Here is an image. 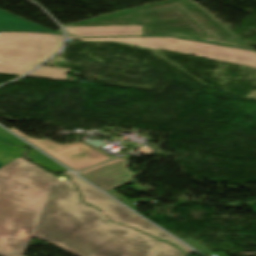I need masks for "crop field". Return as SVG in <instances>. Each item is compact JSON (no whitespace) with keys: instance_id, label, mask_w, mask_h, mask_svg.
<instances>
[{"instance_id":"2","label":"crop field","mask_w":256,"mask_h":256,"mask_svg":"<svg viewBox=\"0 0 256 256\" xmlns=\"http://www.w3.org/2000/svg\"><path fill=\"white\" fill-rule=\"evenodd\" d=\"M73 25H137L143 27L142 35L174 34L248 48L187 0H170Z\"/></svg>"},{"instance_id":"12","label":"crop field","mask_w":256,"mask_h":256,"mask_svg":"<svg viewBox=\"0 0 256 256\" xmlns=\"http://www.w3.org/2000/svg\"><path fill=\"white\" fill-rule=\"evenodd\" d=\"M28 159L32 160L33 162L39 164L40 166L50 170V171H65L62 166H60L58 163L53 161L52 159L48 158L44 154L40 153L37 150H32L30 153L25 156Z\"/></svg>"},{"instance_id":"4","label":"crop field","mask_w":256,"mask_h":256,"mask_svg":"<svg viewBox=\"0 0 256 256\" xmlns=\"http://www.w3.org/2000/svg\"><path fill=\"white\" fill-rule=\"evenodd\" d=\"M68 38L79 39L68 36ZM84 41H117L134 44L150 49H167L175 52L207 57L231 63L256 67V52L211 45L191 40L172 37L156 38H112V39H79Z\"/></svg>"},{"instance_id":"13","label":"crop field","mask_w":256,"mask_h":256,"mask_svg":"<svg viewBox=\"0 0 256 256\" xmlns=\"http://www.w3.org/2000/svg\"><path fill=\"white\" fill-rule=\"evenodd\" d=\"M0 140L6 142L8 144H11V145H18V146H22V147L27 145L25 142L19 140L18 138H16L12 134L8 133L1 127H0Z\"/></svg>"},{"instance_id":"9","label":"crop field","mask_w":256,"mask_h":256,"mask_svg":"<svg viewBox=\"0 0 256 256\" xmlns=\"http://www.w3.org/2000/svg\"><path fill=\"white\" fill-rule=\"evenodd\" d=\"M0 31H34L57 33L2 10H0Z\"/></svg>"},{"instance_id":"1","label":"crop field","mask_w":256,"mask_h":256,"mask_svg":"<svg viewBox=\"0 0 256 256\" xmlns=\"http://www.w3.org/2000/svg\"><path fill=\"white\" fill-rule=\"evenodd\" d=\"M32 236L77 256H185L173 246L106 220L61 182L18 158L0 169V256H23Z\"/></svg>"},{"instance_id":"6","label":"crop field","mask_w":256,"mask_h":256,"mask_svg":"<svg viewBox=\"0 0 256 256\" xmlns=\"http://www.w3.org/2000/svg\"><path fill=\"white\" fill-rule=\"evenodd\" d=\"M10 130L23 137L36 147L50 154L74 171L110 159L109 157L81 142L71 144H56L49 140H36L28 138L13 128Z\"/></svg>"},{"instance_id":"14","label":"crop field","mask_w":256,"mask_h":256,"mask_svg":"<svg viewBox=\"0 0 256 256\" xmlns=\"http://www.w3.org/2000/svg\"><path fill=\"white\" fill-rule=\"evenodd\" d=\"M185 243L189 244L190 246H192L193 248L197 249L200 252H210L209 249H207L206 247H204L203 245H201L199 242H197L195 239L191 238V239H187V240H183Z\"/></svg>"},{"instance_id":"11","label":"crop field","mask_w":256,"mask_h":256,"mask_svg":"<svg viewBox=\"0 0 256 256\" xmlns=\"http://www.w3.org/2000/svg\"><path fill=\"white\" fill-rule=\"evenodd\" d=\"M26 149L21 147H11L0 142V168L10 163L12 160L24 156Z\"/></svg>"},{"instance_id":"15","label":"crop field","mask_w":256,"mask_h":256,"mask_svg":"<svg viewBox=\"0 0 256 256\" xmlns=\"http://www.w3.org/2000/svg\"><path fill=\"white\" fill-rule=\"evenodd\" d=\"M120 160H122V159H121V158H118V159H116V160H113V161H111V162L105 163V164L100 165V166H97V167H95V168L86 170V171L81 172V173H79V174L83 175V174H85V173L91 172V171H93V170L99 169V168H101V167H104V166H106V165L112 164V163L117 162V161H120Z\"/></svg>"},{"instance_id":"10","label":"crop field","mask_w":256,"mask_h":256,"mask_svg":"<svg viewBox=\"0 0 256 256\" xmlns=\"http://www.w3.org/2000/svg\"><path fill=\"white\" fill-rule=\"evenodd\" d=\"M69 72V69L65 68H56V67H46L41 66L28 76L31 77H41V78H51V79H59L66 80V74Z\"/></svg>"},{"instance_id":"7","label":"crop field","mask_w":256,"mask_h":256,"mask_svg":"<svg viewBox=\"0 0 256 256\" xmlns=\"http://www.w3.org/2000/svg\"><path fill=\"white\" fill-rule=\"evenodd\" d=\"M127 168L128 161L126 159L85 174L83 177L107 191L133 180L135 173L128 171Z\"/></svg>"},{"instance_id":"5","label":"crop field","mask_w":256,"mask_h":256,"mask_svg":"<svg viewBox=\"0 0 256 256\" xmlns=\"http://www.w3.org/2000/svg\"><path fill=\"white\" fill-rule=\"evenodd\" d=\"M67 175L71 177L77 188L81 191L85 201L104 211L108 215L109 219H111L112 221L131 226L133 228L146 232L156 238L167 240L171 243L176 244L179 248L187 253L190 250L174 238L170 237L169 235L154 227L150 223L146 222L142 218L138 217L131 211L127 210L114 200L110 199L79 177L75 176L70 172L67 173Z\"/></svg>"},{"instance_id":"8","label":"crop field","mask_w":256,"mask_h":256,"mask_svg":"<svg viewBox=\"0 0 256 256\" xmlns=\"http://www.w3.org/2000/svg\"><path fill=\"white\" fill-rule=\"evenodd\" d=\"M69 34L78 37L127 36L141 35L142 27L137 26H102V27H68Z\"/></svg>"},{"instance_id":"3","label":"crop field","mask_w":256,"mask_h":256,"mask_svg":"<svg viewBox=\"0 0 256 256\" xmlns=\"http://www.w3.org/2000/svg\"><path fill=\"white\" fill-rule=\"evenodd\" d=\"M62 37L43 33H0V73L24 75L56 53Z\"/></svg>"}]
</instances>
